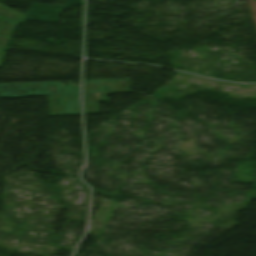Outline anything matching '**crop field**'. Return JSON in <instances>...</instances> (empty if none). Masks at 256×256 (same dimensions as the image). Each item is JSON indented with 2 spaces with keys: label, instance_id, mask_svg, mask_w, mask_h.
<instances>
[{
  "label": "crop field",
  "instance_id": "34b2d1b8",
  "mask_svg": "<svg viewBox=\"0 0 256 256\" xmlns=\"http://www.w3.org/2000/svg\"><path fill=\"white\" fill-rule=\"evenodd\" d=\"M7 42H8L7 39L0 38V66H1L4 56L6 54V52L4 51V48L7 44Z\"/></svg>",
  "mask_w": 256,
  "mask_h": 256
},
{
  "label": "crop field",
  "instance_id": "8a807250",
  "mask_svg": "<svg viewBox=\"0 0 256 256\" xmlns=\"http://www.w3.org/2000/svg\"><path fill=\"white\" fill-rule=\"evenodd\" d=\"M49 101L51 116L80 114V94L49 96Z\"/></svg>",
  "mask_w": 256,
  "mask_h": 256
},
{
  "label": "crop field",
  "instance_id": "ac0d7876",
  "mask_svg": "<svg viewBox=\"0 0 256 256\" xmlns=\"http://www.w3.org/2000/svg\"><path fill=\"white\" fill-rule=\"evenodd\" d=\"M18 23L12 22L0 16V37L11 39Z\"/></svg>",
  "mask_w": 256,
  "mask_h": 256
}]
</instances>
